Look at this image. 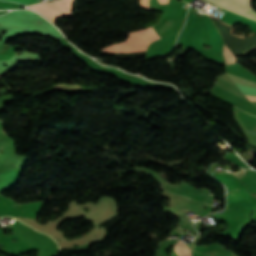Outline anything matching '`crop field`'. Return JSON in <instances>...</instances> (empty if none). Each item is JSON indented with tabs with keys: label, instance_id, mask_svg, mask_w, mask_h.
<instances>
[{
	"label": "crop field",
	"instance_id": "8a807250",
	"mask_svg": "<svg viewBox=\"0 0 256 256\" xmlns=\"http://www.w3.org/2000/svg\"><path fill=\"white\" fill-rule=\"evenodd\" d=\"M207 1L220 7V8H224L229 11H232V12H235L240 15H243L248 18L256 20V12L253 10L252 5H251L252 0H207ZM224 9L222 10L223 14L220 18L224 19V21L229 22L233 25L234 24H242V25L246 24V25H248L249 30L252 33H256V21L248 19V18L240 16V15H237L235 13L229 12ZM226 25H228V24H226ZM228 26L232 27V30H233L232 25H228ZM231 35H232V32H231ZM252 35L253 34H249V37ZM234 36H236V35H234ZM237 37H240V36H237ZM241 38H243V36ZM223 54H224V57L226 60V65L237 62L225 44H224V48H223Z\"/></svg>",
	"mask_w": 256,
	"mask_h": 256
},
{
	"label": "crop field",
	"instance_id": "ac0d7876",
	"mask_svg": "<svg viewBox=\"0 0 256 256\" xmlns=\"http://www.w3.org/2000/svg\"><path fill=\"white\" fill-rule=\"evenodd\" d=\"M159 39L152 27L129 33L127 40L120 44L110 45L103 49L109 52L146 51L149 43Z\"/></svg>",
	"mask_w": 256,
	"mask_h": 256
},
{
	"label": "crop field",
	"instance_id": "34b2d1b8",
	"mask_svg": "<svg viewBox=\"0 0 256 256\" xmlns=\"http://www.w3.org/2000/svg\"><path fill=\"white\" fill-rule=\"evenodd\" d=\"M74 0H57L54 2H44L41 4L33 5L28 8L41 12L46 18L54 23V19L59 16H73L72 4Z\"/></svg>",
	"mask_w": 256,
	"mask_h": 256
},
{
	"label": "crop field",
	"instance_id": "412701ff",
	"mask_svg": "<svg viewBox=\"0 0 256 256\" xmlns=\"http://www.w3.org/2000/svg\"><path fill=\"white\" fill-rule=\"evenodd\" d=\"M218 84L213 89L253 105L226 76L222 74L217 77ZM255 106V105H253ZM256 107V106H255Z\"/></svg>",
	"mask_w": 256,
	"mask_h": 256
},
{
	"label": "crop field",
	"instance_id": "f4fd0767",
	"mask_svg": "<svg viewBox=\"0 0 256 256\" xmlns=\"http://www.w3.org/2000/svg\"><path fill=\"white\" fill-rule=\"evenodd\" d=\"M227 76L230 78L231 81H233L236 84H240V85H243V86H247V87L256 89V83L255 82L245 80V79H242V78H238V77H235V76H231V75H227ZM245 96H247L248 99H255L256 100L255 96H248V95H245Z\"/></svg>",
	"mask_w": 256,
	"mask_h": 256
},
{
	"label": "crop field",
	"instance_id": "dd49c442",
	"mask_svg": "<svg viewBox=\"0 0 256 256\" xmlns=\"http://www.w3.org/2000/svg\"><path fill=\"white\" fill-rule=\"evenodd\" d=\"M9 1L21 2L25 5H29V4H32V3L39 2V0H9Z\"/></svg>",
	"mask_w": 256,
	"mask_h": 256
},
{
	"label": "crop field",
	"instance_id": "e52e79f7",
	"mask_svg": "<svg viewBox=\"0 0 256 256\" xmlns=\"http://www.w3.org/2000/svg\"><path fill=\"white\" fill-rule=\"evenodd\" d=\"M191 233H193V231Z\"/></svg>",
	"mask_w": 256,
	"mask_h": 256
},
{
	"label": "crop field",
	"instance_id": "d8731c3e",
	"mask_svg": "<svg viewBox=\"0 0 256 256\" xmlns=\"http://www.w3.org/2000/svg\"><path fill=\"white\" fill-rule=\"evenodd\" d=\"M182 234H184V233H182ZM185 235V234H184Z\"/></svg>",
	"mask_w": 256,
	"mask_h": 256
}]
</instances>
